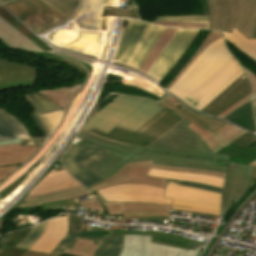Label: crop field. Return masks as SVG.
Masks as SVG:
<instances>
[{"label":"crop field","mask_w":256,"mask_h":256,"mask_svg":"<svg viewBox=\"0 0 256 256\" xmlns=\"http://www.w3.org/2000/svg\"><path fill=\"white\" fill-rule=\"evenodd\" d=\"M242 74L222 38L204 49L168 91L201 110Z\"/></svg>","instance_id":"obj_1"},{"label":"crop field","mask_w":256,"mask_h":256,"mask_svg":"<svg viewBox=\"0 0 256 256\" xmlns=\"http://www.w3.org/2000/svg\"><path fill=\"white\" fill-rule=\"evenodd\" d=\"M163 108L149 100L118 95L95 112L81 132L97 128L108 133L115 126L135 132Z\"/></svg>","instance_id":"obj_2"},{"label":"crop field","mask_w":256,"mask_h":256,"mask_svg":"<svg viewBox=\"0 0 256 256\" xmlns=\"http://www.w3.org/2000/svg\"><path fill=\"white\" fill-rule=\"evenodd\" d=\"M183 120L185 119L164 108L135 133L118 127H115L108 134L100 132L97 129L88 132L97 137L108 139L116 143L144 149Z\"/></svg>","instance_id":"obj_3"},{"label":"crop field","mask_w":256,"mask_h":256,"mask_svg":"<svg viewBox=\"0 0 256 256\" xmlns=\"http://www.w3.org/2000/svg\"><path fill=\"white\" fill-rule=\"evenodd\" d=\"M164 30L143 22H129L115 59L138 69Z\"/></svg>","instance_id":"obj_4"},{"label":"crop field","mask_w":256,"mask_h":256,"mask_svg":"<svg viewBox=\"0 0 256 256\" xmlns=\"http://www.w3.org/2000/svg\"><path fill=\"white\" fill-rule=\"evenodd\" d=\"M188 124L190 123L186 120L183 121L146 149L172 155L229 161L228 155H214L205 143L186 127Z\"/></svg>","instance_id":"obj_5"},{"label":"crop field","mask_w":256,"mask_h":256,"mask_svg":"<svg viewBox=\"0 0 256 256\" xmlns=\"http://www.w3.org/2000/svg\"><path fill=\"white\" fill-rule=\"evenodd\" d=\"M110 150L92 146L86 143H77L62 155V163L68 173L88 187L100 182L102 179L88 170L98 163Z\"/></svg>","instance_id":"obj_6"},{"label":"crop field","mask_w":256,"mask_h":256,"mask_svg":"<svg viewBox=\"0 0 256 256\" xmlns=\"http://www.w3.org/2000/svg\"><path fill=\"white\" fill-rule=\"evenodd\" d=\"M6 7L37 35L66 20L40 0H19Z\"/></svg>","instance_id":"obj_7"},{"label":"crop field","mask_w":256,"mask_h":256,"mask_svg":"<svg viewBox=\"0 0 256 256\" xmlns=\"http://www.w3.org/2000/svg\"><path fill=\"white\" fill-rule=\"evenodd\" d=\"M198 32L199 30L177 29L146 74L160 82L177 63Z\"/></svg>","instance_id":"obj_8"},{"label":"crop field","mask_w":256,"mask_h":256,"mask_svg":"<svg viewBox=\"0 0 256 256\" xmlns=\"http://www.w3.org/2000/svg\"><path fill=\"white\" fill-rule=\"evenodd\" d=\"M175 102L178 101L171 96H166L160 103L189 121L191 124L187 127L203 141L229 126L228 122L201 115Z\"/></svg>","instance_id":"obj_9"},{"label":"crop field","mask_w":256,"mask_h":256,"mask_svg":"<svg viewBox=\"0 0 256 256\" xmlns=\"http://www.w3.org/2000/svg\"><path fill=\"white\" fill-rule=\"evenodd\" d=\"M152 163L153 161H145L125 164L112 177L89 189L90 191H94L121 183L147 184L164 188L166 179L146 176Z\"/></svg>","instance_id":"obj_10"},{"label":"crop field","mask_w":256,"mask_h":256,"mask_svg":"<svg viewBox=\"0 0 256 256\" xmlns=\"http://www.w3.org/2000/svg\"><path fill=\"white\" fill-rule=\"evenodd\" d=\"M200 250V247L197 248L196 252L178 250L155 245L151 243L149 236L124 235L120 256H198Z\"/></svg>","instance_id":"obj_11"},{"label":"crop field","mask_w":256,"mask_h":256,"mask_svg":"<svg viewBox=\"0 0 256 256\" xmlns=\"http://www.w3.org/2000/svg\"><path fill=\"white\" fill-rule=\"evenodd\" d=\"M253 167L231 163L227 173L222 197L221 216L223 217L247 192Z\"/></svg>","instance_id":"obj_12"},{"label":"crop field","mask_w":256,"mask_h":256,"mask_svg":"<svg viewBox=\"0 0 256 256\" xmlns=\"http://www.w3.org/2000/svg\"><path fill=\"white\" fill-rule=\"evenodd\" d=\"M37 68L0 59V92L35 84Z\"/></svg>","instance_id":"obj_13"},{"label":"crop field","mask_w":256,"mask_h":256,"mask_svg":"<svg viewBox=\"0 0 256 256\" xmlns=\"http://www.w3.org/2000/svg\"><path fill=\"white\" fill-rule=\"evenodd\" d=\"M256 4V0H251ZM209 11V29L221 30L230 33L237 17V11L234 0H206ZM256 39V30L251 37Z\"/></svg>","instance_id":"obj_14"},{"label":"crop field","mask_w":256,"mask_h":256,"mask_svg":"<svg viewBox=\"0 0 256 256\" xmlns=\"http://www.w3.org/2000/svg\"><path fill=\"white\" fill-rule=\"evenodd\" d=\"M144 160H155L154 163L157 164L205 169L226 173V167L210 165L211 160L165 155L147 150H143L140 153L134 155L128 162Z\"/></svg>","instance_id":"obj_15"},{"label":"crop field","mask_w":256,"mask_h":256,"mask_svg":"<svg viewBox=\"0 0 256 256\" xmlns=\"http://www.w3.org/2000/svg\"><path fill=\"white\" fill-rule=\"evenodd\" d=\"M249 93H251L250 84L244 74L203 108L202 111L218 116Z\"/></svg>","instance_id":"obj_16"},{"label":"crop field","mask_w":256,"mask_h":256,"mask_svg":"<svg viewBox=\"0 0 256 256\" xmlns=\"http://www.w3.org/2000/svg\"><path fill=\"white\" fill-rule=\"evenodd\" d=\"M67 229V215L49 220L45 232L29 250L51 254V252L66 234Z\"/></svg>","instance_id":"obj_17"},{"label":"crop field","mask_w":256,"mask_h":256,"mask_svg":"<svg viewBox=\"0 0 256 256\" xmlns=\"http://www.w3.org/2000/svg\"><path fill=\"white\" fill-rule=\"evenodd\" d=\"M248 133V132H247ZM244 134L217 154H229L230 162L247 165L256 159V146L248 150L245 147L256 141L254 136Z\"/></svg>","instance_id":"obj_18"},{"label":"crop field","mask_w":256,"mask_h":256,"mask_svg":"<svg viewBox=\"0 0 256 256\" xmlns=\"http://www.w3.org/2000/svg\"><path fill=\"white\" fill-rule=\"evenodd\" d=\"M80 186L65 171L47 174L30 192L28 196L41 195Z\"/></svg>","instance_id":"obj_19"},{"label":"crop field","mask_w":256,"mask_h":256,"mask_svg":"<svg viewBox=\"0 0 256 256\" xmlns=\"http://www.w3.org/2000/svg\"><path fill=\"white\" fill-rule=\"evenodd\" d=\"M85 195L88 196V195H91V193L86 188L80 186V187L73 188V189L66 190V191L24 198L20 204H22L24 202L38 201V200H43V202L46 203V202H51V201L65 200V199H71V198L77 197L80 204L82 205V207H87V208L104 211L101 203L95 197L89 198V199L81 202L79 198H81Z\"/></svg>","instance_id":"obj_20"},{"label":"crop field","mask_w":256,"mask_h":256,"mask_svg":"<svg viewBox=\"0 0 256 256\" xmlns=\"http://www.w3.org/2000/svg\"><path fill=\"white\" fill-rule=\"evenodd\" d=\"M100 195L105 201L134 202V203H163L170 204L171 200L162 199V195L137 191H108Z\"/></svg>","instance_id":"obj_21"},{"label":"crop field","mask_w":256,"mask_h":256,"mask_svg":"<svg viewBox=\"0 0 256 256\" xmlns=\"http://www.w3.org/2000/svg\"><path fill=\"white\" fill-rule=\"evenodd\" d=\"M22 97L29 102L33 110V112L30 115L32 121L36 125L37 129L47 138L51 133L48 131V129L40 119L39 115L43 113L59 110L62 108L50 102L49 100H47L46 98H44L42 95H40L35 91Z\"/></svg>","instance_id":"obj_22"},{"label":"crop field","mask_w":256,"mask_h":256,"mask_svg":"<svg viewBox=\"0 0 256 256\" xmlns=\"http://www.w3.org/2000/svg\"><path fill=\"white\" fill-rule=\"evenodd\" d=\"M235 1L238 17L234 28L250 39L256 28V6H252L250 0Z\"/></svg>","instance_id":"obj_23"},{"label":"crop field","mask_w":256,"mask_h":256,"mask_svg":"<svg viewBox=\"0 0 256 256\" xmlns=\"http://www.w3.org/2000/svg\"><path fill=\"white\" fill-rule=\"evenodd\" d=\"M0 41L14 49L42 51L0 17Z\"/></svg>","instance_id":"obj_24"},{"label":"crop field","mask_w":256,"mask_h":256,"mask_svg":"<svg viewBox=\"0 0 256 256\" xmlns=\"http://www.w3.org/2000/svg\"><path fill=\"white\" fill-rule=\"evenodd\" d=\"M27 137L30 136L26 127L0 107V141Z\"/></svg>","instance_id":"obj_25"},{"label":"crop field","mask_w":256,"mask_h":256,"mask_svg":"<svg viewBox=\"0 0 256 256\" xmlns=\"http://www.w3.org/2000/svg\"><path fill=\"white\" fill-rule=\"evenodd\" d=\"M130 157L111 151L98 164L92 167L89 171L96 174L103 180L112 176L120 167H122Z\"/></svg>","instance_id":"obj_26"},{"label":"crop field","mask_w":256,"mask_h":256,"mask_svg":"<svg viewBox=\"0 0 256 256\" xmlns=\"http://www.w3.org/2000/svg\"><path fill=\"white\" fill-rule=\"evenodd\" d=\"M165 195L217 203H220L221 198V194L218 193L168 184L166 187Z\"/></svg>","instance_id":"obj_27"},{"label":"crop field","mask_w":256,"mask_h":256,"mask_svg":"<svg viewBox=\"0 0 256 256\" xmlns=\"http://www.w3.org/2000/svg\"><path fill=\"white\" fill-rule=\"evenodd\" d=\"M148 175L155 176V177H162V178L193 181V182L212 185V186L221 187V188H223V183H224V179H222V178L203 176V175L168 172V171H161V170H154V169H150Z\"/></svg>","instance_id":"obj_28"},{"label":"crop field","mask_w":256,"mask_h":256,"mask_svg":"<svg viewBox=\"0 0 256 256\" xmlns=\"http://www.w3.org/2000/svg\"><path fill=\"white\" fill-rule=\"evenodd\" d=\"M105 206L107 213L121 214L122 211H136V210H166L169 211L170 205L162 204H133V203H110L105 202L97 191L93 192Z\"/></svg>","instance_id":"obj_29"},{"label":"crop field","mask_w":256,"mask_h":256,"mask_svg":"<svg viewBox=\"0 0 256 256\" xmlns=\"http://www.w3.org/2000/svg\"><path fill=\"white\" fill-rule=\"evenodd\" d=\"M112 234L121 235V234H140V235H149L151 236L152 242L170 245L182 249L188 248L190 243L197 244L202 246L203 244L194 242L192 240H187L181 237H175L165 234L151 233V232H135V231H112Z\"/></svg>","instance_id":"obj_30"},{"label":"crop field","mask_w":256,"mask_h":256,"mask_svg":"<svg viewBox=\"0 0 256 256\" xmlns=\"http://www.w3.org/2000/svg\"><path fill=\"white\" fill-rule=\"evenodd\" d=\"M81 85H73L67 87H60L54 89L40 90L37 91L44 97L54 102L58 106L65 109L67 103L71 100L72 96L79 90Z\"/></svg>","instance_id":"obj_31"},{"label":"crop field","mask_w":256,"mask_h":256,"mask_svg":"<svg viewBox=\"0 0 256 256\" xmlns=\"http://www.w3.org/2000/svg\"><path fill=\"white\" fill-rule=\"evenodd\" d=\"M225 119L232 121L246 129H248L249 131H251L253 133L256 132L251 102L238 108L236 111H234L232 114L227 116Z\"/></svg>","instance_id":"obj_32"},{"label":"crop field","mask_w":256,"mask_h":256,"mask_svg":"<svg viewBox=\"0 0 256 256\" xmlns=\"http://www.w3.org/2000/svg\"><path fill=\"white\" fill-rule=\"evenodd\" d=\"M17 0H0L3 5L15 2ZM54 9L56 12L64 16L66 19L72 17L80 0H41Z\"/></svg>","instance_id":"obj_33"},{"label":"crop field","mask_w":256,"mask_h":256,"mask_svg":"<svg viewBox=\"0 0 256 256\" xmlns=\"http://www.w3.org/2000/svg\"><path fill=\"white\" fill-rule=\"evenodd\" d=\"M78 137L91 141L93 145L108 148L111 150H116L130 157L141 151V149L119 145L108 140L94 137L87 132L80 133Z\"/></svg>","instance_id":"obj_34"},{"label":"crop field","mask_w":256,"mask_h":256,"mask_svg":"<svg viewBox=\"0 0 256 256\" xmlns=\"http://www.w3.org/2000/svg\"><path fill=\"white\" fill-rule=\"evenodd\" d=\"M226 40L256 60V40H248L235 29L231 34L226 33Z\"/></svg>","instance_id":"obj_35"},{"label":"crop field","mask_w":256,"mask_h":256,"mask_svg":"<svg viewBox=\"0 0 256 256\" xmlns=\"http://www.w3.org/2000/svg\"><path fill=\"white\" fill-rule=\"evenodd\" d=\"M176 31V29L172 28H166L164 33L161 35L153 49L150 51L144 62L139 67V70L146 73V71L149 69V67L152 65V63L155 61L159 53L162 51L166 43L169 41L173 33Z\"/></svg>","instance_id":"obj_36"},{"label":"crop field","mask_w":256,"mask_h":256,"mask_svg":"<svg viewBox=\"0 0 256 256\" xmlns=\"http://www.w3.org/2000/svg\"><path fill=\"white\" fill-rule=\"evenodd\" d=\"M0 16L6 22H8L11 26L15 27L21 34H23L28 39H30L33 43H35L43 51L51 50L39 38H37L32 32L27 30L25 26L20 24L13 16L9 15L8 12L2 7H0Z\"/></svg>","instance_id":"obj_37"},{"label":"crop field","mask_w":256,"mask_h":256,"mask_svg":"<svg viewBox=\"0 0 256 256\" xmlns=\"http://www.w3.org/2000/svg\"><path fill=\"white\" fill-rule=\"evenodd\" d=\"M123 235L106 237L96 256H119L122 247Z\"/></svg>","instance_id":"obj_38"},{"label":"crop field","mask_w":256,"mask_h":256,"mask_svg":"<svg viewBox=\"0 0 256 256\" xmlns=\"http://www.w3.org/2000/svg\"><path fill=\"white\" fill-rule=\"evenodd\" d=\"M101 243L97 241L78 240L71 251H66V253L78 256H94Z\"/></svg>","instance_id":"obj_39"},{"label":"crop field","mask_w":256,"mask_h":256,"mask_svg":"<svg viewBox=\"0 0 256 256\" xmlns=\"http://www.w3.org/2000/svg\"><path fill=\"white\" fill-rule=\"evenodd\" d=\"M104 237H86V236H72V235H65V237L62 239V241L58 244V246L55 248V250L52 252V254L55 255H69L74 256L70 254L64 253L65 250L70 251L72 246L75 244V242L78 239H88V240H98L102 241Z\"/></svg>","instance_id":"obj_40"},{"label":"crop field","mask_w":256,"mask_h":256,"mask_svg":"<svg viewBox=\"0 0 256 256\" xmlns=\"http://www.w3.org/2000/svg\"><path fill=\"white\" fill-rule=\"evenodd\" d=\"M38 147L39 146H21L20 144L0 146V157L32 155Z\"/></svg>","instance_id":"obj_41"},{"label":"crop field","mask_w":256,"mask_h":256,"mask_svg":"<svg viewBox=\"0 0 256 256\" xmlns=\"http://www.w3.org/2000/svg\"><path fill=\"white\" fill-rule=\"evenodd\" d=\"M164 197H167V196H164ZM168 198H173V197H168ZM172 205L198 208V209H204V210H210V211H216V212H219V207H220V204H217V203L201 202V201L186 200V199H179V198H174Z\"/></svg>","instance_id":"obj_42"},{"label":"crop field","mask_w":256,"mask_h":256,"mask_svg":"<svg viewBox=\"0 0 256 256\" xmlns=\"http://www.w3.org/2000/svg\"><path fill=\"white\" fill-rule=\"evenodd\" d=\"M229 127V126H228ZM242 129L232 125V127H229L217 134H215L214 136H212L211 138L207 139L206 141H204L206 143V145L209 147V149H213L214 147H216L217 145H219L220 143L224 142L225 140H227L228 138L232 137L233 135L237 134L238 132H240Z\"/></svg>","instance_id":"obj_43"},{"label":"crop field","mask_w":256,"mask_h":256,"mask_svg":"<svg viewBox=\"0 0 256 256\" xmlns=\"http://www.w3.org/2000/svg\"><path fill=\"white\" fill-rule=\"evenodd\" d=\"M46 223L47 222L34 227L29 232V234L20 243H18L15 247L28 250L36 242V240L39 238V236L44 232V230L46 228Z\"/></svg>","instance_id":"obj_44"},{"label":"crop field","mask_w":256,"mask_h":256,"mask_svg":"<svg viewBox=\"0 0 256 256\" xmlns=\"http://www.w3.org/2000/svg\"><path fill=\"white\" fill-rule=\"evenodd\" d=\"M108 190H137V191H146V192H154V193H163L162 188L154 187V186H147V185H138V184H122L117 185L105 189H100V191H108Z\"/></svg>","instance_id":"obj_45"},{"label":"crop field","mask_w":256,"mask_h":256,"mask_svg":"<svg viewBox=\"0 0 256 256\" xmlns=\"http://www.w3.org/2000/svg\"><path fill=\"white\" fill-rule=\"evenodd\" d=\"M151 168L154 169H161V170H168V171H176V172H185V173H194V174H203V175H210L216 177L224 178L226 174L205 171V170H197V169H189V168H181V167H173V166H165V165H157L153 164Z\"/></svg>","instance_id":"obj_46"},{"label":"crop field","mask_w":256,"mask_h":256,"mask_svg":"<svg viewBox=\"0 0 256 256\" xmlns=\"http://www.w3.org/2000/svg\"><path fill=\"white\" fill-rule=\"evenodd\" d=\"M68 215L69 219V230L67 234L73 235H87V236H104L103 231H94V232H79V217ZM74 218V220H73Z\"/></svg>","instance_id":"obj_47"},{"label":"crop field","mask_w":256,"mask_h":256,"mask_svg":"<svg viewBox=\"0 0 256 256\" xmlns=\"http://www.w3.org/2000/svg\"><path fill=\"white\" fill-rule=\"evenodd\" d=\"M155 24H159L165 27H173V28H208V22H159L155 21Z\"/></svg>","instance_id":"obj_48"},{"label":"crop field","mask_w":256,"mask_h":256,"mask_svg":"<svg viewBox=\"0 0 256 256\" xmlns=\"http://www.w3.org/2000/svg\"><path fill=\"white\" fill-rule=\"evenodd\" d=\"M209 15L203 16H156L159 21H208Z\"/></svg>","instance_id":"obj_49"},{"label":"crop field","mask_w":256,"mask_h":256,"mask_svg":"<svg viewBox=\"0 0 256 256\" xmlns=\"http://www.w3.org/2000/svg\"><path fill=\"white\" fill-rule=\"evenodd\" d=\"M62 115H63V112L59 111V112L44 114V115H41V117L46 123V125L48 126V128L50 129V131L52 132L56 128V126L59 124Z\"/></svg>","instance_id":"obj_50"},{"label":"crop field","mask_w":256,"mask_h":256,"mask_svg":"<svg viewBox=\"0 0 256 256\" xmlns=\"http://www.w3.org/2000/svg\"><path fill=\"white\" fill-rule=\"evenodd\" d=\"M166 183L184 185V186H188V187L199 188V189L213 191V192H219V193H221L223 190L221 188L211 187V186L197 184V183H193V182L170 180V179H167Z\"/></svg>","instance_id":"obj_51"},{"label":"crop field","mask_w":256,"mask_h":256,"mask_svg":"<svg viewBox=\"0 0 256 256\" xmlns=\"http://www.w3.org/2000/svg\"><path fill=\"white\" fill-rule=\"evenodd\" d=\"M29 158L30 156H14L0 158V167L23 164L28 161Z\"/></svg>","instance_id":"obj_52"},{"label":"crop field","mask_w":256,"mask_h":256,"mask_svg":"<svg viewBox=\"0 0 256 256\" xmlns=\"http://www.w3.org/2000/svg\"><path fill=\"white\" fill-rule=\"evenodd\" d=\"M169 212L166 211H136L123 212L124 216H167Z\"/></svg>","instance_id":"obj_53"},{"label":"crop field","mask_w":256,"mask_h":256,"mask_svg":"<svg viewBox=\"0 0 256 256\" xmlns=\"http://www.w3.org/2000/svg\"><path fill=\"white\" fill-rule=\"evenodd\" d=\"M251 101V94L248 96L244 97L240 101H238L236 104H234L232 107H230L228 110H226L224 113H222L220 116L221 118L226 117L228 114L232 113L234 110H236L238 107L244 105L245 103Z\"/></svg>","instance_id":"obj_54"},{"label":"crop field","mask_w":256,"mask_h":256,"mask_svg":"<svg viewBox=\"0 0 256 256\" xmlns=\"http://www.w3.org/2000/svg\"><path fill=\"white\" fill-rule=\"evenodd\" d=\"M20 166L1 167L0 168V183L4 179H6L10 174H12Z\"/></svg>","instance_id":"obj_55"},{"label":"crop field","mask_w":256,"mask_h":256,"mask_svg":"<svg viewBox=\"0 0 256 256\" xmlns=\"http://www.w3.org/2000/svg\"><path fill=\"white\" fill-rule=\"evenodd\" d=\"M244 133H246L244 130L241 131L240 133H238L237 135L233 136L232 138L228 139L226 142H224L223 144L217 146L216 148H214L213 150H211L214 154L216 152H218L220 149H222L224 146H226L227 144H229L230 142H232L233 140H235L236 138L240 137L241 135H243Z\"/></svg>","instance_id":"obj_56"},{"label":"crop field","mask_w":256,"mask_h":256,"mask_svg":"<svg viewBox=\"0 0 256 256\" xmlns=\"http://www.w3.org/2000/svg\"><path fill=\"white\" fill-rule=\"evenodd\" d=\"M171 209L194 211V212H198V213H204V214L218 215V216H219V213L210 212V211H204V210H198V209L183 208V207H175V206H172Z\"/></svg>","instance_id":"obj_57"},{"label":"crop field","mask_w":256,"mask_h":256,"mask_svg":"<svg viewBox=\"0 0 256 256\" xmlns=\"http://www.w3.org/2000/svg\"><path fill=\"white\" fill-rule=\"evenodd\" d=\"M21 256H55V255H48L40 252L26 251Z\"/></svg>","instance_id":"obj_58"},{"label":"crop field","mask_w":256,"mask_h":256,"mask_svg":"<svg viewBox=\"0 0 256 256\" xmlns=\"http://www.w3.org/2000/svg\"><path fill=\"white\" fill-rule=\"evenodd\" d=\"M244 69V68H243ZM244 71L247 73V75L250 77L252 84H253V93H254V98L256 97V77L252 75L250 72L244 69Z\"/></svg>","instance_id":"obj_59"},{"label":"crop field","mask_w":256,"mask_h":256,"mask_svg":"<svg viewBox=\"0 0 256 256\" xmlns=\"http://www.w3.org/2000/svg\"><path fill=\"white\" fill-rule=\"evenodd\" d=\"M255 182H256V168H254L252 175H251L250 184H249V188H248L249 192H250V188L255 184Z\"/></svg>","instance_id":"obj_60"},{"label":"crop field","mask_w":256,"mask_h":256,"mask_svg":"<svg viewBox=\"0 0 256 256\" xmlns=\"http://www.w3.org/2000/svg\"><path fill=\"white\" fill-rule=\"evenodd\" d=\"M22 139L19 140H11V141H4V142H0V145H5V144H11V143H20Z\"/></svg>","instance_id":"obj_61"},{"label":"crop field","mask_w":256,"mask_h":256,"mask_svg":"<svg viewBox=\"0 0 256 256\" xmlns=\"http://www.w3.org/2000/svg\"><path fill=\"white\" fill-rule=\"evenodd\" d=\"M211 164L228 166L229 162L212 161Z\"/></svg>","instance_id":"obj_62"},{"label":"crop field","mask_w":256,"mask_h":256,"mask_svg":"<svg viewBox=\"0 0 256 256\" xmlns=\"http://www.w3.org/2000/svg\"><path fill=\"white\" fill-rule=\"evenodd\" d=\"M249 166L256 167V160L254 162L250 163Z\"/></svg>","instance_id":"obj_63"},{"label":"crop field","mask_w":256,"mask_h":256,"mask_svg":"<svg viewBox=\"0 0 256 256\" xmlns=\"http://www.w3.org/2000/svg\"><path fill=\"white\" fill-rule=\"evenodd\" d=\"M254 110H255V116H256V107H254Z\"/></svg>","instance_id":"obj_64"}]
</instances>
